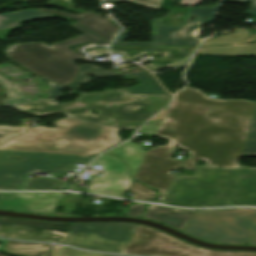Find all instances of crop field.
I'll return each mask as SVG.
<instances>
[{
  "mask_svg": "<svg viewBox=\"0 0 256 256\" xmlns=\"http://www.w3.org/2000/svg\"><path fill=\"white\" fill-rule=\"evenodd\" d=\"M107 153L120 156V158L129 165L131 176L134 177L146 151L141 149L133 142L128 141L108 151Z\"/></svg>",
  "mask_w": 256,
  "mask_h": 256,
  "instance_id": "crop-field-20",
  "label": "crop field"
},
{
  "mask_svg": "<svg viewBox=\"0 0 256 256\" xmlns=\"http://www.w3.org/2000/svg\"><path fill=\"white\" fill-rule=\"evenodd\" d=\"M196 47H114L110 45L111 53H121L125 59H134L147 52L155 51H179L180 53H188L190 56L183 58L177 62L161 66L155 62H152L144 67L148 68L152 72L164 67H175L181 64L188 63Z\"/></svg>",
  "mask_w": 256,
  "mask_h": 256,
  "instance_id": "crop-field-14",
  "label": "crop field"
},
{
  "mask_svg": "<svg viewBox=\"0 0 256 256\" xmlns=\"http://www.w3.org/2000/svg\"><path fill=\"white\" fill-rule=\"evenodd\" d=\"M166 110V109H165ZM165 110H163L161 113H159L157 116H155L152 120H155V119H159V118H162ZM151 121V120H150Z\"/></svg>",
  "mask_w": 256,
  "mask_h": 256,
  "instance_id": "crop-field-41",
  "label": "crop field"
},
{
  "mask_svg": "<svg viewBox=\"0 0 256 256\" xmlns=\"http://www.w3.org/2000/svg\"><path fill=\"white\" fill-rule=\"evenodd\" d=\"M108 53H109L108 49H103V50L95 49V50L89 51V54L97 55V56L108 54Z\"/></svg>",
  "mask_w": 256,
  "mask_h": 256,
  "instance_id": "crop-field-35",
  "label": "crop field"
},
{
  "mask_svg": "<svg viewBox=\"0 0 256 256\" xmlns=\"http://www.w3.org/2000/svg\"><path fill=\"white\" fill-rule=\"evenodd\" d=\"M245 149V156H256V107L254 110Z\"/></svg>",
  "mask_w": 256,
  "mask_h": 256,
  "instance_id": "crop-field-28",
  "label": "crop field"
},
{
  "mask_svg": "<svg viewBox=\"0 0 256 256\" xmlns=\"http://www.w3.org/2000/svg\"><path fill=\"white\" fill-rule=\"evenodd\" d=\"M106 1H112V0H106ZM123 1L134 2V0H123Z\"/></svg>",
  "mask_w": 256,
  "mask_h": 256,
  "instance_id": "crop-field-45",
  "label": "crop field"
},
{
  "mask_svg": "<svg viewBox=\"0 0 256 256\" xmlns=\"http://www.w3.org/2000/svg\"><path fill=\"white\" fill-rule=\"evenodd\" d=\"M162 0H135V3H139L146 6L157 7L160 5Z\"/></svg>",
  "mask_w": 256,
  "mask_h": 256,
  "instance_id": "crop-field-33",
  "label": "crop field"
},
{
  "mask_svg": "<svg viewBox=\"0 0 256 256\" xmlns=\"http://www.w3.org/2000/svg\"><path fill=\"white\" fill-rule=\"evenodd\" d=\"M62 197L60 193H2L0 209L48 215Z\"/></svg>",
  "mask_w": 256,
  "mask_h": 256,
  "instance_id": "crop-field-13",
  "label": "crop field"
},
{
  "mask_svg": "<svg viewBox=\"0 0 256 256\" xmlns=\"http://www.w3.org/2000/svg\"><path fill=\"white\" fill-rule=\"evenodd\" d=\"M231 205H256V168L241 166Z\"/></svg>",
  "mask_w": 256,
  "mask_h": 256,
  "instance_id": "crop-field-15",
  "label": "crop field"
},
{
  "mask_svg": "<svg viewBox=\"0 0 256 256\" xmlns=\"http://www.w3.org/2000/svg\"><path fill=\"white\" fill-rule=\"evenodd\" d=\"M158 126L157 125H153V124H149L147 123L146 125H144L139 132H143V133H147V134H151L154 135L156 130H157Z\"/></svg>",
  "mask_w": 256,
  "mask_h": 256,
  "instance_id": "crop-field-32",
  "label": "crop field"
},
{
  "mask_svg": "<svg viewBox=\"0 0 256 256\" xmlns=\"http://www.w3.org/2000/svg\"><path fill=\"white\" fill-rule=\"evenodd\" d=\"M85 72H91V73L97 75V77L102 76V75H107V74H115L113 71H105L101 68H94L91 65L80 66L77 79L72 84H69L67 86H56L53 84L52 88L50 90H46V92H48L50 94V96L48 98H54V97L61 96L63 94H61L59 91L62 88H64V87L74 88L75 85L78 84L79 82L90 79V78H86L83 76Z\"/></svg>",
  "mask_w": 256,
  "mask_h": 256,
  "instance_id": "crop-field-23",
  "label": "crop field"
},
{
  "mask_svg": "<svg viewBox=\"0 0 256 256\" xmlns=\"http://www.w3.org/2000/svg\"><path fill=\"white\" fill-rule=\"evenodd\" d=\"M71 26L85 34L51 46L45 43L16 44L7 47L5 53L8 58L51 83L69 84L76 79L79 68L72 62L85 56L67 47L81 42L108 44L75 23Z\"/></svg>",
  "mask_w": 256,
  "mask_h": 256,
  "instance_id": "crop-field-4",
  "label": "crop field"
},
{
  "mask_svg": "<svg viewBox=\"0 0 256 256\" xmlns=\"http://www.w3.org/2000/svg\"><path fill=\"white\" fill-rule=\"evenodd\" d=\"M183 232L211 242L244 244L256 232V209L196 211Z\"/></svg>",
  "mask_w": 256,
  "mask_h": 256,
  "instance_id": "crop-field-6",
  "label": "crop field"
},
{
  "mask_svg": "<svg viewBox=\"0 0 256 256\" xmlns=\"http://www.w3.org/2000/svg\"><path fill=\"white\" fill-rule=\"evenodd\" d=\"M60 182L55 178H28L18 190H56Z\"/></svg>",
  "mask_w": 256,
  "mask_h": 256,
  "instance_id": "crop-field-24",
  "label": "crop field"
},
{
  "mask_svg": "<svg viewBox=\"0 0 256 256\" xmlns=\"http://www.w3.org/2000/svg\"><path fill=\"white\" fill-rule=\"evenodd\" d=\"M121 75L127 79L135 76L141 82L139 86L128 89L130 93L168 95L149 72L143 68L126 72Z\"/></svg>",
  "mask_w": 256,
  "mask_h": 256,
  "instance_id": "crop-field-19",
  "label": "crop field"
},
{
  "mask_svg": "<svg viewBox=\"0 0 256 256\" xmlns=\"http://www.w3.org/2000/svg\"><path fill=\"white\" fill-rule=\"evenodd\" d=\"M200 1H202V0H183V1H181L180 3L181 4H183L184 6L186 5V4H190V6H195L196 4H198Z\"/></svg>",
  "mask_w": 256,
  "mask_h": 256,
  "instance_id": "crop-field-36",
  "label": "crop field"
},
{
  "mask_svg": "<svg viewBox=\"0 0 256 256\" xmlns=\"http://www.w3.org/2000/svg\"><path fill=\"white\" fill-rule=\"evenodd\" d=\"M61 247H62L61 245H54V247H53V249L51 251L50 256H57L59 251H60V249H61Z\"/></svg>",
  "mask_w": 256,
  "mask_h": 256,
  "instance_id": "crop-field-38",
  "label": "crop field"
},
{
  "mask_svg": "<svg viewBox=\"0 0 256 256\" xmlns=\"http://www.w3.org/2000/svg\"><path fill=\"white\" fill-rule=\"evenodd\" d=\"M255 104L214 100L199 89H183L155 135L169 142L147 151L134 179L157 189L161 202L174 178L170 172L182 162L170 158L176 144L191 153L181 168L195 170V159H203L206 166L239 169Z\"/></svg>",
  "mask_w": 256,
  "mask_h": 256,
  "instance_id": "crop-field-1",
  "label": "crop field"
},
{
  "mask_svg": "<svg viewBox=\"0 0 256 256\" xmlns=\"http://www.w3.org/2000/svg\"><path fill=\"white\" fill-rule=\"evenodd\" d=\"M73 224L0 216V236L64 243Z\"/></svg>",
  "mask_w": 256,
  "mask_h": 256,
  "instance_id": "crop-field-10",
  "label": "crop field"
},
{
  "mask_svg": "<svg viewBox=\"0 0 256 256\" xmlns=\"http://www.w3.org/2000/svg\"><path fill=\"white\" fill-rule=\"evenodd\" d=\"M56 129L30 128L11 138L0 149L89 156L121 142L115 129L74 119L55 122Z\"/></svg>",
  "mask_w": 256,
  "mask_h": 256,
  "instance_id": "crop-field-3",
  "label": "crop field"
},
{
  "mask_svg": "<svg viewBox=\"0 0 256 256\" xmlns=\"http://www.w3.org/2000/svg\"><path fill=\"white\" fill-rule=\"evenodd\" d=\"M134 227L131 223L75 224L65 244L85 250L121 253Z\"/></svg>",
  "mask_w": 256,
  "mask_h": 256,
  "instance_id": "crop-field-9",
  "label": "crop field"
},
{
  "mask_svg": "<svg viewBox=\"0 0 256 256\" xmlns=\"http://www.w3.org/2000/svg\"><path fill=\"white\" fill-rule=\"evenodd\" d=\"M248 244H255L256 245V233L255 235L252 237L251 241Z\"/></svg>",
  "mask_w": 256,
  "mask_h": 256,
  "instance_id": "crop-field-42",
  "label": "crop field"
},
{
  "mask_svg": "<svg viewBox=\"0 0 256 256\" xmlns=\"http://www.w3.org/2000/svg\"><path fill=\"white\" fill-rule=\"evenodd\" d=\"M194 213L195 211L174 210L150 204L143 218L164 222L180 231H183Z\"/></svg>",
  "mask_w": 256,
  "mask_h": 256,
  "instance_id": "crop-field-16",
  "label": "crop field"
},
{
  "mask_svg": "<svg viewBox=\"0 0 256 256\" xmlns=\"http://www.w3.org/2000/svg\"><path fill=\"white\" fill-rule=\"evenodd\" d=\"M161 120L160 121H155V122H150V123H154V124H160Z\"/></svg>",
  "mask_w": 256,
  "mask_h": 256,
  "instance_id": "crop-field-44",
  "label": "crop field"
},
{
  "mask_svg": "<svg viewBox=\"0 0 256 256\" xmlns=\"http://www.w3.org/2000/svg\"><path fill=\"white\" fill-rule=\"evenodd\" d=\"M170 100V96L136 95L126 89L80 94L71 103L56 105L54 100L14 106L37 115L66 111L67 116L103 125L132 130L147 121ZM89 109L101 110L97 116Z\"/></svg>",
  "mask_w": 256,
  "mask_h": 256,
  "instance_id": "crop-field-2",
  "label": "crop field"
},
{
  "mask_svg": "<svg viewBox=\"0 0 256 256\" xmlns=\"http://www.w3.org/2000/svg\"><path fill=\"white\" fill-rule=\"evenodd\" d=\"M26 128L27 127L0 126V143L12 135H18L19 133L23 132Z\"/></svg>",
  "mask_w": 256,
  "mask_h": 256,
  "instance_id": "crop-field-29",
  "label": "crop field"
},
{
  "mask_svg": "<svg viewBox=\"0 0 256 256\" xmlns=\"http://www.w3.org/2000/svg\"><path fill=\"white\" fill-rule=\"evenodd\" d=\"M23 157L22 160H10V157ZM93 157L34 153L23 151L0 150V189L17 190L20 188L25 174L34 170L42 173L66 175L73 172L77 163H90ZM13 174L12 177H5Z\"/></svg>",
  "mask_w": 256,
  "mask_h": 256,
  "instance_id": "crop-field-7",
  "label": "crop field"
},
{
  "mask_svg": "<svg viewBox=\"0 0 256 256\" xmlns=\"http://www.w3.org/2000/svg\"><path fill=\"white\" fill-rule=\"evenodd\" d=\"M54 17L63 21L71 19L58 17L56 15L46 14L37 11L25 10L18 12L5 13L0 15V40H5L7 33L13 29L20 28L21 24L31 20Z\"/></svg>",
  "mask_w": 256,
  "mask_h": 256,
  "instance_id": "crop-field-17",
  "label": "crop field"
},
{
  "mask_svg": "<svg viewBox=\"0 0 256 256\" xmlns=\"http://www.w3.org/2000/svg\"><path fill=\"white\" fill-rule=\"evenodd\" d=\"M223 1L248 2V0H223Z\"/></svg>",
  "mask_w": 256,
  "mask_h": 256,
  "instance_id": "crop-field-43",
  "label": "crop field"
},
{
  "mask_svg": "<svg viewBox=\"0 0 256 256\" xmlns=\"http://www.w3.org/2000/svg\"><path fill=\"white\" fill-rule=\"evenodd\" d=\"M0 83L5 85V94L7 99L3 100L5 105L16 103H24L30 101L24 96L15 83L7 81L4 77L0 76Z\"/></svg>",
  "mask_w": 256,
  "mask_h": 256,
  "instance_id": "crop-field-26",
  "label": "crop field"
},
{
  "mask_svg": "<svg viewBox=\"0 0 256 256\" xmlns=\"http://www.w3.org/2000/svg\"><path fill=\"white\" fill-rule=\"evenodd\" d=\"M60 256H113V255L95 254V253H89V252H84V251L65 247L62 250Z\"/></svg>",
  "mask_w": 256,
  "mask_h": 256,
  "instance_id": "crop-field-30",
  "label": "crop field"
},
{
  "mask_svg": "<svg viewBox=\"0 0 256 256\" xmlns=\"http://www.w3.org/2000/svg\"><path fill=\"white\" fill-rule=\"evenodd\" d=\"M51 244L24 243L8 240L4 252L16 253L27 256H47Z\"/></svg>",
  "mask_w": 256,
  "mask_h": 256,
  "instance_id": "crop-field-21",
  "label": "crop field"
},
{
  "mask_svg": "<svg viewBox=\"0 0 256 256\" xmlns=\"http://www.w3.org/2000/svg\"><path fill=\"white\" fill-rule=\"evenodd\" d=\"M74 19L78 21V24L93 31L110 42L121 29L112 25L108 20L94 12L79 14L74 17Z\"/></svg>",
  "mask_w": 256,
  "mask_h": 256,
  "instance_id": "crop-field-18",
  "label": "crop field"
},
{
  "mask_svg": "<svg viewBox=\"0 0 256 256\" xmlns=\"http://www.w3.org/2000/svg\"><path fill=\"white\" fill-rule=\"evenodd\" d=\"M194 29V27H188L187 28V33H188V35L190 36V33H191V31ZM191 37V36H190ZM191 42H199V40H196V39H194V38H192L191 37Z\"/></svg>",
  "mask_w": 256,
  "mask_h": 256,
  "instance_id": "crop-field-39",
  "label": "crop field"
},
{
  "mask_svg": "<svg viewBox=\"0 0 256 256\" xmlns=\"http://www.w3.org/2000/svg\"><path fill=\"white\" fill-rule=\"evenodd\" d=\"M197 52L200 54L256 55V43L231 46L199 47Z\"/></svg>",
  "mask_w": 256,
  "mask_h": 256,
  "instance_id": "crop-field-22",
  "label": "crop field"
},
{
  "mask_svg": "<svg viewBox=\"0 0 256 256\" xmlns=\"http://www.w3.org/2000/svg\"><path fill=\"white\" fill-rule=\"evenodd\" d=\"M248 36H249V32L247 30H241L239 28H236L234 34L221 36L213 39H208L202 42L201 46L244 43Z\"/></svg>",
  "mask_w": 256,
  "mask_h": 256,
  "instance_id": "crop-field-25",
  "label": "crop field"
},
{
  "mask_svg": "<svg viewBox=\"0 0 256 256\" xmlns=\"http://www.w3.org/2000/svg\"><path fill=\"white\" fill-rule=\"evenodd\" d=\"M144 209H145L144 204L135 203V204L131 205L126 216L140 217V215L142 214Z\"/></svg>",
  "mask_w": 256,
  "mask_h": 256,
  "instance_id": "crop-field-31",
  "label": "crop field"
},
{
  "mask_svg": "<svg viewBox=\"0 0 256 256\" xmlns=\"http://www.w3.org/2000/svg\"><path fill=\"white\" fill-rule=\"evenodd\" d=\"M122 253L146 256H256V252H219L191 246L141 225H138Z\"/></svg>",
  "mask_w": 256,
  "mask_h": 256,
  "instance_id": "crop-field-8",
  "label": "crop field"
},
{
  "mask_svg": "<svg viewBox=\"0 0 256 256\" xmlns=\"http://www.w3.org/2000/svg\"><path fill=\"white\" fill-rule=\"evenodd\" d=\"M217 6L189 9L180 27L163 25V19L152 21V43H121L128 34V30L122 32L112 43L113 45H177V46H197L190 42V37L186 34L187 26L199 27L200 23L211 22ZM190 15H197L195 22H187Z\"/></svg>",
  "mask_w": 256,
  "mask_h": 256,
  "instance_id": "crop-field-11",
  "label": "crop field"
},
{
  "mask_svg": "<svg viewBox=\"0 0 256 256\" xmlns=\"http://www.w3.org/2000/svg\"><path fill=\"white\" fill-rule=\"evenodd\" d=\"M92 165L106 169L103 177H92L86 192L124 197L133 179L128 174V167L119 157L103 153Z\"/></svg>",
  "mask_w": 256,
  "mask_h": 256,
  "instance_id": "crop-field-12",
  "label": "crop field"
},
{
  "mask_svg": "<svg viewBox=\"0 0 256 256\" xmlns=\"http://www.w3.org/2000/svg\"><path fill=\"white\" fill-rule=\"evenodd\" d=\"M35 10L50 12V13H54V14L66 16V17H69V18H73L74 16H76L75 14L65 13V12L56 11V10H51V9H46V8L35 9Z\"/></svg>",
  "mask_w": 256,
  "mask_h": 256,
  "instance_id": "crop-field-34",
  "label": "crop field"
},
{
  "mask_svg": "<svg viewBox=\"0 0 256 256\" xmlns=\"http://www.w3.org/2000/svg\"><path fill=\"white\" fill-rule=\"evenodd\" d=\"M128 192L133 193L131 199H135V200L150 201L157 197L156 193L142 186L141 184H139L134 180L132 181L128 189Z\"/></svg>",
  "mask_w": 256,
  "mask_h": 256,
  "instance_id": "crop-field-27",
  "label": "crop field"
},
{
  "mask_svg": "<svg viewBox=\"0 0 256 256\" xmlns=\"http://www.w3.org/2000/svg\"><path fill=\"white\" fill-rule=\"evenodd\" d=\"M252 41H256V35L250 36V37L246 40L245 43H247V42H252Z\"/></svg>",
  "mask_w": 256,
  "mask_h": 256,
  "instance_id": "crop-field-40",
  "label": "crop field"
},
{
  "mask_svg": "<svg viewBox=\"0 0 256 256\" xmlns=\"http://www.w3.org/2000/svg\"><path fill=\"white\" fill-rule=\"evenodd\" d=\"M238 171L198 167L193 177L177 176L164 203L186 207L230 205Z\"/></svg>",
  "mask_w": 256,
  "mask_h": 256,
  "instance_id": "crop-field-5",
  "label": "crop field"
},
{
  "mask_svg": "<svg viewBox=\"0 0 256 256\" xmlns=\"http://www.w3.org/2000/svg\"><path fill=\"white\" fill-rule=\"evenodd\" d=\"M249 1H252V5L248 13L256 17V0H249Z\"/></svg>",
  "mask_w": 256,
  "mask_h": 256,
  "instance_id": "crop-field-37",
  "label": "crop field"
}]
</instances>
